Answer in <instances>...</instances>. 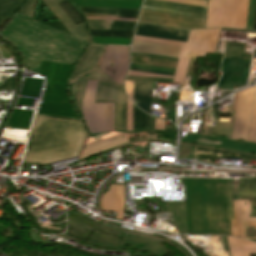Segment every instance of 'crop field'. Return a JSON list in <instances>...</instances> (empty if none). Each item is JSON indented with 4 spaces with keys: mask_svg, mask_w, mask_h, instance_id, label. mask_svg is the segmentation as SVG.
Returning <instances> with one entry per match:
<instances>
[{
    "mask_svg": "<svg viewBox=\"0 0 256 256\" xmlns=\"http://www.w3.org/2000/svg\"><path fill=\"white\" fill-rule=\"evenodd\" d=\"M45 133L42 143L29 142L24 162L48 164L78 156L85 139L79 119L36 114L32 130Z\"/></svg>",
    "mask_w": 256,
    "mask_h": 256,
    "instance_id": "crop-field-1",
    "label": "crop field"
},
{
    "mask_svg": "<svg viewBox=\"0 0 256 256\" xmlns=\"http://www.w3.org/2000/svg\"><path fill=\"white\" fill-rule=\"evenodd\" d=\"M87 80H100L95 102H116L115 107V130H124L126 128V96L123 91V85L115 84L100 69L92 75L81 79L73 85V95L75 104L80 111L81 97ZM81 112V111H80Z\"/></svg>",
    "mask_w": 256,
    "mask_h": 256,
    "instance_id": "crop-field-2",
    "label": "crop field"
},
{
    "mask_svg": "<svg viewBox=\"0 0 256 256\" xmlns=\"http://www.w3.org/2000/svg\"><path fill=\"white\" fill-rule=\"evenodd\" d=\"M249 0H209L205 28L245 29Z\"/></svg>",
    "mask_w": 256,
    "mask_h": 256,
    "instance_id": "crop-field-3",
    "label": "crop field"
},
{
    "mask_svg": "<svg viewBox=\"0 0 256 256\" xmlns=\"http://www.w3.org/2000/svg\"><path fill=\"white\" fill-rule=\"evenodd\" d=\"M99 81H88L82 98V116L90 133L113 131L114 104L94 103Z\"/></svg>",
    "mask_w": 256,
    "mask_h": 256,
    "instance_id": "crop-field-4",
    "label": "crop field"
},
{
    "mask_svg": "<svg viewBox=\"0 0 256 256\" xmlns=\"http://www.w3.org/2000/svg\"><path fill=\"white\" fill-rule=\"evenodd\" d=\"M114 59V67L111 71V60ZM99 68L106 73L115 83L123 84L128 69V48L107 46L105 55Z\"/></svg>",
    "mask_w": 256,
    "mask_h": 256,
    "instance_id": "crop-field-5",
    "label": "crop field"
},
{
    "mask_svg": "<svg viewBox=\"0 0 256 256\" xmlns=\"http://www.w3.org/2000/svg\"><path fill=\"white\" fill-rule=\"evenodd\" d=\"M138 21L197 29L203 28L204 19L142 10Z\"/></svg>",
    "mask_w": 256,
    "mask_h": 256,
    "instance_id": "crop-field-6",
    "label": "crop field"
},
{
    "mask_svg": "<svg viewBox=\"0 0 256 256\" xmlns=\"http://www.w3.org/2000/svg\"><path fill=\"white\" fill-rule=\"evenodd\" d=\"M65 0H43V2L49 7V9L56 15V17L62 22V24L69 30V32L77 37H80L87 41L88 34L86 32L84 23L75 26L73 22L68 18L64 11L59 7L57 3ZM37 0H29L19 13L29 17H33L34 9Z\"/></svg>",
    "mask_w": 256,
    "mask_h": 256,
    "instance_id": "crop-field-7",
    "label": "crop field"
},
{
    "mask_svg": "<svg viewBox=\"0 0 256 256\" xmlns=\"http://www.w3.org/2000/svg\"><path fill=\"white\" fill-rule=\"evenodd\" d=\"M255 89L238 96L232 137L247 140Z\"/></svg>",
    "mask_w": 256,
    "mask_h": 256,
    "instance_id": "crop-field-8",
    "label": "crop field"
},
{
    "mask_svg": "<svg viewBox=\"0 0 256 256\" xmlns=\"http://www.w3.org/2000/svg\"><path fill=\"white\" fill-rule=\"evenodd\" d=\"M190 31L138 23L135 35L186 41Z\"/></svg>",
    "mask_w": 256,
    "mask_h": 256,
    "instance_id": "crop-field-9",
    "label": "crop field"
},
{
    "mask_svg": "<svg viewBox=\"0 0 256 256\" xmlns=\"http://www.w3.org/2000/svg\"><path fill=\"white\" fill-rule=\"evenodd\" d=\"M245 201H234L235 220L230 221L232 236L245 237L244 228L256 227V218H249L250 205H244Z\"/></svg>",
    "mask_w": 256,
    "mask_h": 256,
    "instance_id": "crop-field-10",
    "label": "crop field"
},
{
    "mask_svg": "<svg viewBox=\"0 0 256 256\" xmlns=\"http://www.w3.org/2000/svg\"><path fill=\"white\" fill-rule=\"evenodd\" d=\"M102 211L117 212L116 219L123 220L124 186L111 185L101 199Z\"/></svg>",
    "mask_w": 256,
    "mask_h": 256,
    "instance_id": "crop-field-11",
    "label": "crop field"
},
{
    "mask_svg": "<svg viewBox=\"0 0 256 256\" xmlns=\"http://www.w3.org/2000/svg\"><path fill=\"white\" fill-rule=\"evenodd\" d=\"M103 48L104 46L89 45V47L86 49L85 53L83 54L81 60L79 61L71 77L70 82L92 71L96 67Z\"/></svg>",
    "mask_w": 256,
    "mask_h": 256,
    "instance_id": "crop-field-12",
    "label": "crop field"
},
{
    "mask_svg": "<svg viewBox=\"0 0 256 256\" xmlns=\"http://www.w3.org/2000/svg\"><path fill=\"white\" fill-rule=\"evenodd\" d=\"M180 48L181 47L178 46L165 45L159 43L133 41L131 52L148 53L178 58Z\"/></svg>",
    "mask_w": 256,
    "mask_h": 256,
    "instance_id": "crop-field-13",
    "label": "crop field"
},
{
    "mask_svg": "<svg viewBox=\"0 0 256 256\" xmlns=\"http://www.w3.org/2000/svg\"><path fill=\"white\" fill-rule=\"evenodd\" d=\"M238 158L256 161V157L195 147L193 159Z\"/></svg>",
    "mask_w": 256,
    "mask_h": 256,
    "instance_id": "crop-field-14",
    "label": "crop field"
},
{
    "mask_svg": "<svg viewBox=\"0 0 256 256\" xmlns=\"http://www.w3.org/2000/svg\"><path fill=\"white\" fill-rule=\"evenodd\" d=\"M151 83L134 82V104L149 113Z\"/></svg>",
    "mask_w": 256,
    "mask_h": 256,
    "instance_id": "crop-field-15",
    "label": "crop field"
},
{
    "mask_svg": "<svg viewBox=\"0 0 256 256\" xmlns=\"http://www.w3.org/2000/svg\"><path fill=\"white\" fill-rule=\"evenodd\" d=\"M90 29L133 31L136 22L87 20Z\"/></svg>",
    "mask_w": 256,
    "mask_h": 256,
    "instance_id": "crop-field-16",
    "label": "crop field"
},
{
    "mask_svg": "<svg viewBox=\"0 0 256 256\" xmlns=\"http://www.w3.org/2000/svg\"><path fill=\"white\" fill-rule=\"evenodd\" d=\"M227 239L231 256H249V254L256 253V243L252 241L229 237Z\"/></svg>",
    "mask_w": 256,
    "mask_h": 256,
    "instance_id": "crop-field-17",
    "label": "crop field"
},
{
    "mask_svg": "<svg viewBox=\"0 0 256 256\" xmlns=\"http://www.w3.org/2000/svg\"><path fill=\"white\" fill-rule=\"evenodd\" d=\"M184 48L185 47H182V49H181V53H180V57H179V60H178V66H177V71H176L175 77L148 74V73H140V72H132V71H130L128 75L145 76V77L175 78L174 83H181V85L184 86V77H185L188 61H189V58H190V57H182Z\"/></svg>",
    "mask_w": 256,
    "mask_h": 256,
    "instance_id": "crop-field-18",
    "label": "crop field"
},
{
    "mask_svg": "<svg viewBox=\"0 0 256 256\" xmlns=\"http://www.w3.org/2000/svg\"><path fill=\"white\" fill-rule=\"evenodd\" d=\"M26 0H0V28Z\"/></svg>",
    "mask_w": 256,
    "mask_h": 256,
    "instance_id": "crop-field-19",
    "label": "crop field"
},
{
    "mask_svg": "<svg viewBox=\"0 0 256 256\" xmlns=\"http://www.w3.org/2000/svg\"><path fill=\"white\" fill-rule=\"evenodd\" d=\"M83 13L137 16L139 10L79 7Z\"/></svg>",
    "mask_w": 256,
    "mask_h": 256,
    "instance_id": "crop-field-20",
    "label": "crop field"
},
{
    "mask_svg": "<svg viewBox=\"0 0 256 256\" xmlns=\"http://www.w3.org/2000/svg\"><path fill=\"white\" fill-rule=\"evenodd\" d=\"M143 4L167 7V8H174V9H181V10H188V11H195V12H202V13H205V10H206V8H203V7L175 4V3L155 1V0H144Z\"/></svg>",
    "mask_w": 256,
    "mask_h": 256,
    "instance_id": "crop-field-21",
    "label": "crop field"
},
{
    "mask_svg": "<svg viewBox=\"0 0 256 256\" xmlns=\"http://www.w3.org/2000/svg\"><path fill=\"white\" fill-rule=\"evenodd\" d=\"M126 142H128L126 134H121V135L115 136V137H113V138H110V139L101 141V142H99V143L86 146V147L84 148V152H87V151H89V150L98 148V147L103 146V145H105L106 148L109 149V148L118 146V145H120V144L126 143ZM84 152H83V153H84Z\"/></svg>",
    "mask_w": 256,
    "mask_h": 256,
    "instance_id": "crop-field-22",
    "label": "crop field"
},
{
    "mask_svg": "<svg viewBox=\"0 0 256 256\" xmlns=\"http://www.w3.org/2000/svg\"><path fill=\"white\" fill-rule=\"evenodd\" d=\"M131 62L152 65V66H162V67H172L176 68L177 62L167 61L161 59H147V58H139V57H131Z\"/></svg>",
    "mask_w": 256,
    "mask_h": 256,
    "instance_id": "crop-field-23",
    "label": "crop field"
},
{
    "mask_svg": "<svg viewBox=\"0 0 256 256\" xmlns=\"http://www.w3.org/2000/svg\"><path fill=\"white\" fill-rule=\"evenodd\" d=\"M60 7L65 11L75 25L83 23L84 19L81 13L74 8L68 1L59 3Z\"/></svg>",
    "mask_w": 256,
    "mask_h": 256,
    "instance_id": "crop-field-24",
    "label": "crop field"
},
{
    "mask_svg": "<svg viewBox=\"0 0 256 256\" xmlns=\"http://www.w3.org/2000/svg\"><path fill=\"white\" fill-rule=\"evenodd\" d=\"M148 115L141 112L137 107L134 106V122L133 131H140L147 129Z\"/></svg>",
    "mask_w": 256,
    "mask_h": 256,
    "instance_id": "crop-field-25",
    "label": "crop field"
},
{
    "mask_svg": "<svg viewBox=\"0 0 256 256\" xmlns=\"http://www.w3.org/2000/svg\"><path fill=\"white\" fill-rule=\"evenodd\" d=\"M256 194V178L240 181L239 195Z\"/></svg>",
    "mask_w": 256,
    "mask_h": 256,
    "instance_id": "crop-field-26",
    "label": "crop field"
},
{
    "mask_svg": "<svg viewBox=\"0 0 256 256\" xmlns=\"http://www.w3.org/2000/svg\"><path fill=\"white\" fill-rule=\"evenodd\" d=\"M93 36L131 38L133 32L90 30Z\"/></svg>",
    "mask_w": 256,
    "mask_h": 256,
    "instance_id": "crop-field-27",
    "label": "crop field"
},
{
    "mask_svg": "<svg viewBox=\"0 0 256 256\" xmlns=\"http://www.w3.org/2000/svg\"><path fill=\"white\" fill-rule=\"evenodd\" d=\"M142 8L152 9V10H159V11H166V12H173V13H180V14H187V15H194V16H201V17H204V15H205V14H202V13H195V12H188V11H181V10H174V9L146 6V5H143Z\"/></svg>",
    "mask_w": 256,
    "mask_h": 256,
    "instance_id": "crop-field-28",
    "label": "crop field"
},
{
    "mask_svg": "<svg viewBox=\"0 0 256 256\" xmlns=\"http://www.w3.org/2000/svg\"><path fill=\"white\" fill-rule=\"evenodd\" d=\"M227 210L229 220L234 219L233 215V205H232V198H231V180L227 179Z\"/></svg>",
    "mask_w": 256,
    "mask_h": 256,
    "instance_id": "crop-field-29",
    "label": "crop field"
},
{
    "mask_svg": "<svg viewBox=\"0 0 256 256\" xmlns=\"http://www.w3.org/2000/svg\"><path fill=\"white\" fill-rule=\"evenodd\" d=\"M126 80L146 81V82H166V83H173V81H174V79L144 78V77H132V76H127Z\"/></svg>",
    "mask_w": 256,
    "mask_h": 256,
    "instance_id": "crop-field-30",
    "label": "crop field"
},
{
    "mask_svg": "<svg viewBox=\"0 0 256 256\" xmlns=\"http://www.w3.org/2000/svg\"><path fill=\"white\" fill-rule=\"evenodd\" d=\"M162 1H169V2H176V3H182V4H189V5H196V6L206 7V2L197 1V0H162Z\"/></svg>",
    "mask_w": 256,
    "mask_h": 256,
    "instance_id": "crop-field-31",
    "label": "crop field"
},
{
    "mask_svg": "<svg viewBox=\"0 0 256 256\" xmlns=\"http://www.w3.org/2000/svg\"><path fill=\"white\" fill-rule=\"evenodd\" d=\"M132 122H133V104L128 100V111H127L128 131H132Z\"/></svg>",
    "mask_w": 256,
    "mask_h": 256,
    "instance_id": "crop-field-32",
    "label": "crop field"
},
{
    "mask_svg": "<svg viewBox=\"0 0 256 256\" xmlns=\"http://www.w3.org/2000/svg\"><path fill=\"white\" fill-rule=\"evenodd\" d=\"M248 141L256 142V124L251 123Z\"/></svg>",
    "mask_w": 256,
    "mask_h": 256,
    "instance_id": "crop-field-33",
    "label": "crop field"
},
{
    "mask_svg": "<svg viewBox=\"0 0 256 256\" xmlns=\"http://www.w3.org/2000/svg\"><path fill=\"white\" fill-rule=\"evenodd\" d=\"M125 86L127 95L133 101V82L125 81Z\"/></svg>",
    "mask_w": 256,
    "mask_h": 256,
    "instance_id": "crop-field-34",
    "label": "crop field"
},
{
    "mask_svg": "<svg viewBox=\"0 0 256 256\" xmlns=\"http://www.w3.org/2000/svg\"><path fill=\"white\" fill-rule=\"evenodd\" d=\"M85 16L137 19V17H128V16H110V15H92V14H85Z\"/></svg>",
    "mask_w": 256,
    "mask_h": 256,
    "instance_id": "crop-field-35",
    "label": "crop field"
},
{
    "mask_svg": "<svg viewBox=\"0 0 256 256\" xmlns=\"http://www.w3.org/2000/svg\"><path fill=\"white\" fill-rule=\"evenodd\" d=\"M130 70L174 76V74H171V73H163V72H156V71H149V70H141V69H134V68H130Z\"/></svg>",
    "mask_w": 256,
    "mask_h": 256,
    "instance_id": "crop-field-36",
    "label": "crop field"
},
{
    "mask_svg": "<svg viewBox=\"0 0 256 256\" xmlns=\"http://www.w3.org/2000/svg\"><path fill=\"white\" fill-rule=\"evenodd\" d=\"M155 129L164 130V121L156 119Z\"/></svg>",
    "mask_w": 256,
    "mask_h": 256,
    "instance_id": "crop-field-37",
    "label": "crop field"
},
{
    "mask_svg": "<svg viewBox=\"0 0 256 256\" xmlns=\"http://www.w3.org/2000/svg\"><path fill=\"white\" fill-rule=\"evenodd\" d=\"M87 19H99V20H124V21H136V20H129V19H111V18H94V17H86Z\"/></svg>",
    "mask_w": 256,
    "mask_h": 256,
    "instance_id": "crop-field-38",
    "label": "crop field"
},
{
    "mask_svg": "<svg viewBox=\"0 0 256 256\" xmlns=\"http://www.w3.org/2000/svg\"><path fill=\"white\" fill-rule=\"evenodd\" d=\"M155 118L149 116L148 129H154Z\"/></svg>",
    "mask_w": 256,
    "mask_h": 256,
    "instance_id": "crop-field-39",
    "label": "crop field"
},
{
    "mask_svg": "<svg viewBox=\"0 0 256 256\" xmlns=\"http://www.w3.org/2000/svg\"><path fill=\"white\" fill-rule=\"evenodd\" d=\"M252 121L256 122V96H255V103H254V110H253Z\"/></svg>",
    "mask_w": 256,
    "mask_h": 256,
    "instance_id": "crop-field-40",
    "label": "crop field"
},
{
    "mask_svg": "<svg viewBox=\"0 0 256 256\" xmlns=\"http://www.w3.org/2000/svg\"><path fill=\"white\" fill-rule=\"evenodd\" d=\"M253 29H256V9H255V17H254V25H253Z\"/></svg>",
    "mask_w": 256,
    "mask_h": 256,
    "instance_id": "crop-field-41",
    "label": "crop field"
},
{
    "mask_svg": "<svg viewBox=\"0 0 256 256\" xmlns=\"http://www.w3.org/2000/svg\"><path fill=\"white\" fill-rule=\"evenodd\" d=\"M249 239H256V238H249Z\"/></svg>",
    "mask_w": 256,
    "mask_h": 256,
    "instance_id": "crop-field-42",
    "label": "crop field"
}]
</instances>
